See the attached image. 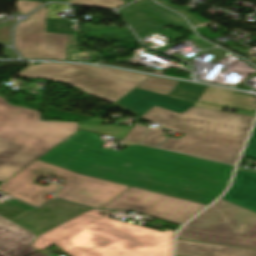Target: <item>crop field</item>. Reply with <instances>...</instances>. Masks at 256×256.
I'll use <instances>...</instances> for the list:
<instances>
[{"mask_svg": "<svg viewBox=\"0 0 256 256\" xmlns=\"http://www.w3.org/2000/svg\"><path fill=\"white\" fill-rule=\"evenodd\" d=\"M233 166L129 145L107 149L82 174L208 205L227 187Z\"/></svg>", "mask_w": 256, "mask_h": 256, "instance_id": "1", "label": "crop field"}, {"mask_svg": "<svg viewBox=\"0 0 256 256\" xmlns=\"http://www.w3.org/2000/svg\"><path fill=\"white\" fill-rule=\"evenodd\" d=\"M109 214L91 209L39 235L31 246L55 244L72 256H171L174 231L127 224Z\"/></svg>", "mask_w": 256, "mask_h": 256, "instance_id": "2", "label": "crop field"}, {"mask_svg": "<svg viewBox=\"0 0 256 256\" xmlns=\"http://www.w3.org/2000/svg\"><path fill=\"white\" fill-rule=\"evenodd\" d=\"M79 123L43 121L40 112L0 96V181L31 164L78 131Z\"/></svg>", "mask_w": 256, "mask_h": 256, "instance_id": "3", "label": "crop field"}, {"mask_svg": "<svg viewBox=\"0 0 256 256\" xmlns=\"http://www.w3.org/2000/svg\"><path fill=\"white\" fill-rule=\"evenodd\" d=\"M45 172L62 178V182L66 185L56 194V197L99 209L129 188V186L81 175L37 160L1 184L0 191L34 206H40L48 201L44 199L47 193L61 188L53 183L46 187L32 183Z\"/></svg>", "mask_w": 256, "mask_h": 256, "instance_id": "4", "label": "crop field"}, {"mask_svg": "<svg viewBox=\"0 0 256 256\" xmlns=\"http://www.w3.org/2000/svg\"><path fill=\"white\" fill-rule=\"evenodd\" d=\"M17 76L65 83L113 103L149 77L107 68L40 62H35Z\"/></svg>", "mask_w": 256, "mask_h": 256, "instance_id": "5", "label": "crop field"}, {"mask_svg": "<svg viewBox=\"0 0 256 256\" xmlns=\"http://www.w3.org/2000/svg\"><path fill=\"white\" fill-rule=\"evenodd\" d=\"M178 238L256 249V213L221 199L187 224Z\"/></svg>", "mask_w": 256, "mask_h": 256, "instance_id": "6", "label": "crop field"}, {"mask_svg": "<svg viewBox=\"0 0 256 256\" xmlns=\"http://www.w3.org/2000/svg\"><path fill=\"white\" fill-rule=\"evenodd\" d=\"M143 118L191 136L201 131L245 139L254 117L195 107L180 115L154 106Z\"/></svg>", "mask_w": 256, "mask_h": 256, "instance_id": "7", "label": "crop field"}, {"mask_svg": "<svg viewBox=\"0 0 256 256\" xmlns=\"http://www.w3.org/2000/svg\"><path fill=\"white\" fill-rule=\"evenodd\" d=\"M49 6L22 21L16 28V49L22 59L66 60L69 35L46 32Z\"/></svg>", "mask_w": 256, "mask_h": 256, "instance_id": "8", "label": "crop field"}, {"mask_svg": "<svg viewBox=\"0 0 256 256\" xmlns=\"http://www.w3.org/2000/svg\"><path fill=\"white\" fill-rule=\"evenodd\" d=\"M204 207L205 205L131 187L103 209L138 211L183 224Z\"/></svg>", "mask_w": 256, "mask_h": 256, "instance_id": "9", "label": "crop field"}, {"mask_svg": "<svg viewBox=\"0 0 256 256\" xmlns=\"http://www.w3.org/2000/svg\"><path fill=\"white\" fill-rule=\"evenodd\" d=\"M99 136L79 130L39 160L80 173L102 153Z\"/></svg>", "mask_w": 256, "mask_h": 256, "instance_id": "10", "label": "crop field"}, {"mask_svg": "<svg viewBox=\"0 0 256 256\" xmlns=\"http://www.w3.org/2000/svg\"><path fill=\"white\" fill-rule=\"evenodd\" d=\"M244 141L197 132L193 137L185 135L179 140L170 138L159 147L235 164Z\"/></svg>", "mask_w": 256, "mask_h": 256, "instance_id": "11", "label": "crop field"}, {"mask_svg": "<svg viewBox=\"0 0 256 256\" xmlns=\"http://www.w3.org/2000/svg\"><path fill=\"white\" fill-rule=\"evenodd\" d=\"M88 209L90 208L53 199L42 208L31 212L15 223L39 235Z\"/></svg>", "mask_w": 256, "mask_h": 256, "instance_id": "12", "label": "crop field"}, {"mask_svg": "<svg viewBox=\"0 0 256 256\" xmlns=\"http://www.w3.org/2000/svg\"><path fill=\"white\" fill-rule=\"evenodd\" d=\"M193 104L194 103L135 88L114 105L142 117L154 105L182 114L192 107Z\"/></svg>", "mask_w": 256, "mask_h": 256, "instance_id": "13", "label": "crop field"}, {"mask_svg": "<svg viewBox=\"0 0 256 256\" xmlns=\"http://www.w3.org/2000/svg\"><path fill=\"white\" fill-rule=\"evenodd\" d=\"M36 235L0 215V256H27L38 251L29 246Z\"/></svg>", "mask_w": 256, "mask_h": 256, "instance_id": "14", "label": "crop field"}, {"mask_svg": "<svg viewBox=\"0 0 256 256\" xmlns=\"http://www.w3.org/2000/svg\"><path fill=\"white\" fill-rule=\"evenodd\" d=\"M222 198L256 212V173L237 170Z\"/></svg>", "mask_w": 256, "mask_h": 256, "instance_id": "15", "label": "crop field"}, {"mask_svg": "<svg viewBox=\"0 0 256 256\" xmlns=\"http://www.w3.org/2000/svg\"><path fill=\"white\" fill-rule=\"evenodd\" d=\"M175 256H256V250L177 240Z\"/></svg>", "mask_w": 256, "mask_h": 256, "instance_id": "16", "label": "crop field"}, {"mask_svg": "<svg viewBox=\"0 0 256 256\" xmlns=\"http://www.w3.org/2000/svg\"><path fill=\"white\" fill-rule=\"evenodd\" d=\"M103 122L110 123V121L95 118L81 122L79 129L104 134L112 137H117L121 139H124L127 133L131 130V128L129 127L117 125H102Z\"/></svg>", "mask_w": 256, "mask_h": 256, "instance_id": "17", "label": "crop field"}, {"mask_svg": "<svg viewBox=\"0 0 256 256\" xmlns=\"http://www.w3.org/2000/svg\"><path fill=\"white\" fill-rule=\"evenodd\" d=\"M234 92L235 91L233 90L209 86L198 101L225 106V104L228 102V100L230 99ZM198 101L194 104L195 107L207 108L218 111L222 110L221 107L201 104L198 103Z\"/></svg>", "mask_w": 256, "mask_h": 256, "instance_id": "18", "label": "crop field"}, {"mask_svg": "<svg viewBox=\"0 0 256 256\" xmlns=\"http://www.w3.org/2000/svg\"><path fill=\"white\" fill-rule=\"evenodd\" d=\"M208 86L179 81L169 96L196 102Z\"/></svg>", "mask_w": 256, "mask_h": 256, "instance_id": "19", "label": "crop field"}, {"mask_svg": "<svg viewBox=\"0 0 256 256\" xmlns=\"http://www.w3.org/2000/svg\"><path fill=\"white\" fill-rule=\"evenodd\" d=\"M35 209L15 199L0 203V214L14 222Z\"/></svg>", "mask_w": 256, "mask_h": 256, "instance_id": "20", "label": "crop field"}, {"mask_svg": "<svg viewBox=\"0 0 256 256\" xmlns=\"http://www.w3.org/2000/svg\"><path fill=\"white\" fill-rule=\"evenodd\" d=\"M177 82H178L177 80H173V79L151 76L142 84H140L138 88L168 95V93L176 85Z\"/></svg>", "mask_w": 256, "mask_h": 256, "instance_id": "21", "label": "crop field"}, {"mask_svg": "<svg viewBox=\"0 0 256 256\" xmlns=\"http://www.w3.org/2000/svg\"><path fill=\"white\" fill-rule=\"evenodd\" d=\"M226 106L256 110V101L252 97L234 93Z\"/></svg>", "mask_w": 256, "mask_h": 256, "instance_id": "22", "label": "crop field"}, {"mask_svg": "<svg viewBox=\"0 0 256 256\" xmlns=\"http://www.w3.org/2000/svg\"><path fill=\"white\" fill-rule=\"evenodd\" d=\"M156 1L157 2L162 1V2H164L163 5H165V6L169 7V8H171V9H173V10H175V11H177V12L183 14V15H185L187 17V19L190 21V23L193 25V27L201 26V25H205V24H210L211 23V22H209V21H207V20H205V19H203V18H201V17H199V16H197L195 14H194L195 16H192V15L188 14L190 11H192L189 8H177V7L171 5V4H169V3H167V2H165L163 0H156Z\"/></svg>", "mask_w": 256, "mask_h": 256, "instance_id": "23", "label": "crop field"}, {"mask_svg": "<svg viewBox=\"0 0 256 256\" xmlns=\"http://www.w3.org/2000/svg\"><path fill=\"white\" fill-rule=\"evenodd\" d=\"M71 3L117 8L125 3L124 0H70Z\"/></svg>", "mask_w": 256, "mask_h": 256, "instance_id": "24", "label": "crop field"}, {"mask_svg": "<svg viewBox=\"0 0 256 256\" xmlns=\"http://www.w3.org/2000/svg\"><path fill=\"white\" fill-rule=\"evenodd\" d=\"M163 130H155V129H151L149 128V131L145 137V139L143 140L142 143L144 144H148V145H153V146H157L159 143H161L165 138H167L166 136H163L164 132H162Z\"/></svg>", "mask_w": 256, "mask_h": 256, "instance_id": "25", "label": "crop field"}, {"mask_svg": "<svg viewBox=\"0 0 256 256\" xmlns=\"http://www.w3.org/2000/svg\"><path fill=\"white\" fill-rule=\"evenodd\" d=\"M42 4H44L43 2H36V1H28V0H18L17 3V9L20 10V14H28L31 11H33L34 9L38 8L39 6H41Z\"/></svg>", "mask_w": 256, "mask_h": 256, "instance_id": "26", "label": "crop field"}, {"mask_svg": "<svg viewBox=\"0 0 256 256\" xmlns=\"http://www.w3.org/2000/svg\"><path fill=\"white\" fill-rule=\"evenodd\" d=\"M146 132V128L135 125L133 129L126 136L125 140L139 143Z\"/></svg>", "mask_w": 256, "mask_h": 256, "instance_id": "27", "label": "crop field"}, {"mask_svg": "<svg viewBox=\"0 0 256 256\" xmlns=\"http://www.w3.org/2000/svg\"><path fill=\"white\" fill-rule=\"evenodd\" d=\"M243 155L256 159V126Z\"/></svg>", "mask_w": 256, "mask_h": 256, "instance_id": "28", "label": "crop field"}, {"mask_svg": "<svg viewBox=\"0 0 256 256\" xmlns=\"http://www.w3.org/2000/svg\"><path fill=\"white\" fill-rule=\"evenodd\" d=\"M13 51H11L9 48H4V54L3 57H9V58H17L16 54Z\"/></svg>", "mask_w": 256, "mask_h": 256, "instance_id": "29", "label": "crop field"}, {"mask_svg": "<svg viewBox=\"0 0 256 256\" xmlns=\"http://www.w3.org/2000/svg\"><path fill=\"white\" fill-rule=\"evenodd\" d=\"M32 256H46V255H44V254L38 252V253H36V254H34V255H32Z\"/></svg>", "mask_w": 256, "mask_h": 256, "instance_id": "30", "label": "crop field"}, {"mask_svg": "<svg viewBox=\"0 0 256 256\" xmlns=\"http://www.w3.org/2000/svg\"><path fill=\"white\" fill-rule=\"evenodd\" d=\"M40 1H60V2H65L67 0H40Z\"/></svg>", "mask_w": 256, "mask_h": 256, "instance_id": "31", "label": "crop field"}]
</instances>
